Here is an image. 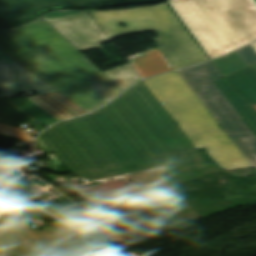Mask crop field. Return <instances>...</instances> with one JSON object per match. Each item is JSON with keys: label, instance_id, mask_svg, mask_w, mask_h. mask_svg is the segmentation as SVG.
I'll use <instances>...</instances> for the list:
<instances>
[{"label": "crop field", "instance_id": "1", "mask_svg": "<svg viewBox=\"0 0 256 256\" xmlns=\"http://www.w3.org/2000/svg\"><path fill=\"white\" fill-rule=\"evenodd\" d=\"M40 136L70 172L195 148L142 81L107 107Z\"/></svg>", "mask_w": 256, "mask_h": 256}, {"label": "crop field", "instance_id": "2", "mask_svg": "<svg viewBox=\"0 0 256 256\" xmlns=\"http://www.w3.org/2000/svg\"><path fill=\"white\" fill-rule=\"evenodd\" d=\"M0 51L87 112L124 91L41 17L0 28Z\"/></svg>", "mask_w": 256, "mask_h": 256}, {"label": "crop field", "instance_id": "3", "mask_svg": "<svg viewBox=\"0 0 256 256\" xmlns=\"http://www.w3.org/2000/svg\"><path fill=\"white\" fill-rule=\"evenodd\" d=\"M87 11L110 40L136 32H156L154 41L159 47L130 59L142 78L208 60L165 3L130 10Z\"/></svg>", "mask_w": 256, "mask_h": 256}, {"label": "crop field", "instance_id": "4", "mask_svg": "<svg viewBox=\"0 0 256 256\" xmlns=\"http://www.w3.org/2000/svg\"><path fill=\"white\" fill-rule=\"evenodd\" d=\"M196 148L206 147L209 156L224 170L251 165L202 105L177 71L143 80Z\"/></svg>", "mask_w": 256, "mask_h": 256}, {"label": "crop field", "instance_id": "5", "mask_svg": "<svg viewBox=\"0 0 256 256\" xmlns=\"http://www.w3.org/2000/svg\"><path fill=\"white\" fill-rule=\"evenodd\" d=\"M211 59L256 40L252 0H167Z\"/></svg>", "mask_w": 256, "mask_h": 256}, {"label": "crop field", "instance_id": "6", "mask_svg": "<svg viewBox=\"0 0 256 256\" xmlns=\"http://www.w3.org/2000/svg\"><path fill=\"white\" fill-rule=\"evenodd\" d=\"M207 110L256 167V137L220 93L213 81L222 78L211 62L178 71Z\"/></svg>", "mask_w": 256, "mask_h": 256}, {"label": "crop field", "instance_id": "7", "mask_svg": "<svg viewBox=\"0 0 256 256\" xmlns=\"http://www.w3.org/2000/svg\"><path fill=\"white\" fill-rule=\"evenodd\" d=\"M0 112L18 125L40 121L47 127L86 113L58 92L26 98H0Z\"/></svg>", "mask_w": 256, "mask_h": 256}, {"label": "crop field", "instance_id": "8", "mask_svg": "<svg viewBox=\"0 0 256 256\" xmlns=\"http://www.w3.org/2000/svg\"><path fill=\"white\" fill-rule=\"evenodd\" d=\"M41 17L79 51L100 48L99 44L109 42L86 10L51 11Z\"/></svg>", "mask_w": 256, "mask_h": 256}, {"label": "crop field", "instance_id": "9", "mask_svg": "<svg viewBox=\"0 0 256 256\" xmlns=\"http://www.w3.org/2000/svg\"><path fill=\"white\" fill-rule=\"evenodd\" d=\"M201 160L195 149L160 154L111 165L73 172L82 176L85 183L98 182L161 167Z\"/></svg>", "mask_w": 256, "mask_h": 256}, {"label": "crop field", "instance_id": "10", "mask_svg": "<svg viewBox=\"0 0 256 256\" xmlns=\"http://www.w3.org/2000/svg\"><path fill=\"white\" fill-rule=\"evenodd\" d=\"M111 1L120 0H0V21L13 23L50 5H92Z\"/></svg>", "mask_w": 256, "mask_h": 256}, {"label": "crop field", "instance_id": "11", "mask_svg": "<svg viewBox=\"0 0 256 256\" xmlns=\"http://www.w3.org/2000/svg\"><path fill=\"white\" fill-rule=\"evenodd\" d=\"M214 83L256 135V111L253 107L242 97L236 94L224 78Z\"/></svg>", "mask_w": 256, "mask_h": 256}, {"label": "crop field", "instance_id": "12", "mask_svg": "<svg viewBox=\"0 0 256 256\" xmlns=\"http://www.w3.org/2000/svg\"><path fill=\"white\" fill-rule=\"evenodd\" d=\"M17 64H11L13 96H17V92L32 89H35L39 94L55 91Z\"/></svg>", "mask_w": 256, "mask_h": 256}, {"label": "crop field", "instance_id": "13", "mask_svg": "<svg viewBox=\"0 0 256 256\" xmlns=\"http://www.w3.org/2000/svg\"><path fill=\"white\" fill-rule=\"evenodd\" d=\"M226 79L233 89L250 104H256V70L252 66L226 77Z\"/></svg>", "mask_w": 256, "mask_h": 256}, {"label": "crop field", "instance_id": "14", "mask_svg": "<svg viewBox=\"0 0 256 256\" xmlns=\"http://www.w3.org/2000/svg\"><path fill=\"white\" fill-rule=\"evenodd\" d=\"M104 73L124 90L139 80L129 63Z\"/></svg>", "mask_w": 256, "mask_h": 256}, {"label": "crop field", "instance_id": "15", "mask_svg": "<svg viewBox=\"0 0 256 256\" xmlns=\"http://www.w3.org/2000/svg\"><path fill=\"white\" fill-rule=\"evenodd\" d=\"M213 62L224 77L248 67L237 52L213 60Z\"/></svg>", "mask_w": 256, "mask_h": 256}, {"label": "crop field", "instance_id": "16", "mask_svg": "<svg viewBox=\"0 0 256 256\" xmlns=\"http://www.w3.org/2000/svg\"><path fill=\"white\" fill-rule=\"evenodd\" d=\"M84 254H87V252L69 243L30 256H80Z\"/></svg>", "mask_w": 256, "mask_h": 256}, {"label": "crop field", "instance_id": "17", "mask_svg": "<svg viewBox=\"0 0 256 256\" xmlns=\"http://www.w3.org/2000/svg\"><path fill=\"white\" fill-rule=\"evenodd\" d=\"M0 96H12L10 64L0 65Z\"/></svg>", "mask_w": 256, "mask_h": 256}, {"label": "crop field", "instance_id": "18", "mask_svg": "<svg viewBox=\"0 0 256 256\" xmlns=\"http://www.w3.org/2000/svg\"><path fill=\"white\" fill-rule=\"evenodd\" d=\"M0 134L17 138L20 140H24L27 142H31V143L33 142V139H34L33 137H31L29 134H27L25 131H23L20 128L13 127L6 124H1V123H0Z\"/></svg>", "mask_w": 256, "mask_h": 256}, {"label": "crop field", "instance_id": "19", "mask_svg": "<svg viewBox=\"0 0 256 256\" xmlns=\"http://www.w3.org/2000/svg\"><path fill=\"white\" fill-rule=\"evenodd\" d=\"M237 52L247 63L248 66L256 63V51L252 48L251 45L244 47Z\"/></svg>", "mask_w": 256, "mask_h": 256}, {"label": "crop field", "instance_id": "20", "mask_svg": "<svg viewBox=\"0 0 256 256\" xmlns=\"http://www.w3.org/2000/svg\"><path fill=\"white\" fill-rule=\"evenodd\" d=\"M84 256H115V255H113L112 253H110L106 250H99V251H96V252H93V253H90V254H87Z\"/></svg>", "mask_w": 256, "mask_h": 256}, {"label": "crop field", "instance_id": "21", "mask_svg": "<svg viewBox=\"0 0 256 256\" xmlns=\"http://www.w3.org/2000/svg\"><path fill=\"white\" fill-rule=\"evenodd\" d=\"M15 62V61H14ZM12 60H10L8 57H6L4 54L0 52V64L4 63H14Z\"/></svg>", "mask_w": 256, "mask_h": 256}, {"label": "crop field", "instance_id": "22", "mask_svg": "<svg viewBox=\"0 0 256 256\" xmlns=\"http://www.w3.org/2000/svg\"><path fill=\"white\" fill-rule=\"evenodd\" d=\"M252 46L256 50V43L252 44Z\"/></svg>", "mask_w": 256, "mask_h": 256}, {"label": "crop field", "instance_id": "23", "mask_svg": "<svg viewBox=\"0 0 256 256\" xmlns=\"http://www.w3.org/2000/svg\"><path fill=\"white\" fill-rule=\"evenodd\" d=\"M253 1H254L255 6H256V0H253Z\"/></svg>", "mask_w": 256, "mask_h": 256}, {"label": "crop field", "instance_id": "24", "mask_svg": "<svg viewBox=\"0 0 256 256\" xmlns=\"http://www.w3.org/2000/svg\"><path fill=\"white\" fill-rule=\"evenodd\" d=\"M253 67L256 69V64H255V65H253Z\"/></svg>", "mask_w": 256, "mask_h": 256}, {"label": "crop field", "instance_id": "25", "mask_svg": "<svg viewBox=\"0 0 256 256\" xmlns=\"http://www.w3.org/2000/svg\"><path fill=\"white\" fill-rule=\"evenodd\" d=\"M254 172H255V174H256V168H255Z\"/></svg>", "mask_w": 256, "mask_h": 256}, {"label": "crop field", "instance_id": "26", "mask_svg": "<svg viewBox=\"0 0 256 256\" xmlns=\"http://www.w3.org/2000/svg\"><path fill=\"white\" fill-rule=\"evenodd\" d=\"M254 107H255V109H256V105H255Z\"/></svg>", "mask_w": 256, "mask_h": 256}]
</instances>
